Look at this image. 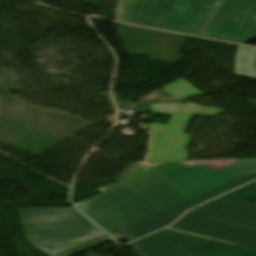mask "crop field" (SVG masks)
Segmentation results:
<instances>
[{"mask_svg": "<svg viewBox=\"0 0 256 256\" xmlns=\"http://www.w3.org/2000/svg\"><path fill=\"white\" fill-rule=\"evenodd\" d=\"M153 114L174 113L169 124H149L154 132L148 161L186 160L185 152L190 135L183 134L192 114L217 116L222 109L200 107L195 104L152 105Z\"/></svg>", "mask_w": 256, "mask_h": 256, "instance_id": "5", "label": "crop field"}, {"mask_svg": "<svg viewBox=\"0 0 256 256\" xmlns=\"http://www.w3.org/2000/svg\"><path fill=\"white\" fill-rule=\"evenodd\" d=\"M130 56L174 64L182 60L179 50L186 38L144 28L121 25L118 31Z\"/></svg>", "mask_w": 256, "mask_h": 256, "instance_id": "6", "label": "crop field"}, {"mask_svg": "<svg viewBox=\"0 0 256 256\" xmlns=\"http://www.w3.org/2000/svg\"><path fill=\"white\" fill-rule=\"evenodd\" d=\"M255 179H256V172L246 175L244 177H241L239 179H236L232 182L224 184L220 187L212 189L196 197H193L191 198V200L184 202L182 204H179L175 207H172L170 209H167L165 211L152 215L148 218H145L143 220H140L138 222L125 226L121 229L113 231L111 232V234L116 239L127 238L131 241H134L140 237H143L147 234H150L156 230H159L167 226L168 224L173 222L176 218H178L182 213H184L187 209L195 205H198L204 201H207L211 198H214L220 194H223L227 191H230L236 187H239L243 184H246Z\"/></svg>", "mask_w": 256, "mask_h": 256, "instance_id": "7", "label": "crop field"}, {"mask_svg": "<svg viewBox=\"0 0 256 256\" xmlns=\"http://www.w3.org/2000/svg\"><path fill=\"white\" fill-rule=\"evenodd\" d=\"M18 210L26 230L97 228L74 208Z\"/></svg>", "mask_w": 256, "mask_h": 256, "instance_id": "9", "label": "crop field"}, {"mask_svg": "<svg viewBox=\"0 0 256 256\" xmlns=\"http://www.w3.org/2000/svg\"><path fill=\"white\" fill-rule=\"evenodd\" d=\"M187 256H256V249L213 240L184 251Z\"/></svg>", "mask_w": 256, "mask_h": 256, "instance_id": "11", "label": "crop field"}, {"mask_svg": "<svg viewBox=\"0 0 256 256\" xmlns=\"http://www.w3.org/2000/svg\"><path fill=\"white\" fill-rule=\"evenodd\" d=\"M99 191L75 205L108 232L161 210L119 182Z\"/></svg>", "mask_w": 256, "mask_h": 256, "instance_id": "4", "label": "crop field"}, {"mask_svg": "<svg viewBox=\"0 0 256 256\" xmlns=\"http://www.w3.org/2000/svg\"><path fill=\"white\" fill-rule=\"evenodd\" d=\"M154 168L167 180L136 193L164 209L256 171V159L242 160L219 170L184 162L162 163Z\"/></svg>", "mask_w": 256, "mask_h": 256, "instance_id": "2", "label": "crop field"}, {"mask_svg": "<svg viewBox=\"0 0 256 256\" xmlns=\"http://www.w3.org/2000/svg\"><path fill=\"white\" fill-rule=\"evenodd\" d=\"M248 103L256 108V100L248 101Z\"/></svg>", "mask_w": 256, "mask_h": 256, "instance_id": "17", "label": "crop field"}, {"mask_svg": "<svg viewBox=\"0 0 256 256\" xmlns=\"http://www.w3.org/2000/svg\"><path fill=\"white\" fill-rule=\"evenodd\" d=\"M163 180L165 178L151 167L119 182L136 192Z\"/></svg>", "mask_w": 256, "mask_h": 256, "instance_id": "13", "label": "crop field"}, {"mask_svg": "<svg viewBox=\"0 0 256 256\" xmlns=\"http://www.w3.org/2000/svg\"><path fill=\"white\" fill-rule=\"evenodd\" d=\"M236 76L256 78V49L239 46L236 54Z\"/></svg>", "mask_w": 256, "mask_h": 256, "instance_id": "12", "label": "crop field"}, {"mask_svg": "<svg viewBox=\"0 0 256 256\" xmlns=\"http://www.w3.org/2000/svg\"><path fill=\"white\" fill-rule=\"evenodd\" d=\"M210 240L164 229L128 246L135 250L137 256H186L182 250Z\"/></svg>", "mask_w": 256, "mask_h": 256, "instance_id": "8", "label": "crop field"}, {"mask_svg": "<svg viewBox=\"0 0 256 256\" xmlns=\"http://www.w3.org/2000/svg\"><path fill=\"white\" fill-rule=\"evenodd\" d=\"M101 234L99 230L27 232L29 240L49 256Z\"/></svg>", "mask_w": 256, "mask_h": 256, "instance_id": "10", "label": "crop field"}, {"mask_svg": "<svg viewBox=\"0 0 256 256\" xmlns=\"http://www.w3.org/2000/svg\"><path fill=\"white\" fill-rule=\"evenodd\" d=\"M256 206L218 198L189 213L170 228L256 248Z\"/></svg>", "mask_w": 256, "mask_h": 256, "instance_id": "3", "label": "crop field"}, {"mask_svg": "<svg viewBox=\"0 0 256 256\" xmlns=\"http://www.w3.org/2000/svg\"><path fill=\"white\" fill-rule=\"evenodd\" d=\"M222 198L249 203L256 199V182L248 184L236 191H233Z\"/></svg>", "mask_w": 256, "mask_h": 256, "instance_id": "15", "label": "crop field"}, {"mask_svg": "<svg viewBox=\"0 0 256 256\" xmlns=\"http://www.w3.org/2000/svg\"><path fill=\"white\" fill-rule=\"evenodd\" d=\"M108 240H112V239L109 238L107 235H105V236H103V237H100V238H98V239H96V240H93V241H91V242H88V243H86V244H84V245H81V246H79V247H76V248H74V249H72V250H69V251L64 252V253H62V254H60V255H57V256H69V255H71V254H74V253H76V252H79V251H81V250H84V249H86V248L92 247V246H94V245H97V244H99V243H101V242L108 241Z\"/></svg>", "mask_w": 256, "mask_h": 256, "instance_id": "16", "label": "crop field"}, {"mask_svg": "<svg viewBox=\"0 0 256 256\" xmlns=\"http://www.w3.org/2000/svg\"><path fill=\"white\" fill-rule=\"evenodd\" d=\"M124 0V23L245 44L256 38V0Z\"/></svg>", "mask_w": 256, "mask_h": 256, "instance_id": "1", "label": "crop field"}, {"mask_svg": "<svg viewBox=\"0 0 256 256\" xmlns=\"http://www.w3.org/2000/svg\"><path fill=\"white\" fill-rule=\"evenodd\" d=\"M163 89L177 99L201 93L182 78Z\"/></svg>", "mask_w": 256, "mask_h": 256, "instance_id": "14", "label": "crop field"}]
</instances>
